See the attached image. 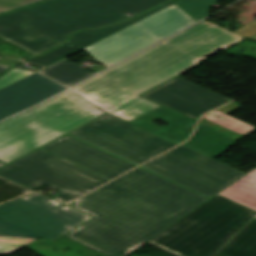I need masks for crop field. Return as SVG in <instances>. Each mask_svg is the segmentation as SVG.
Listing matches in <instances>:
<instances>
[{"mask_svg": "<svg viewBox=\"0 0 256 256\" xmlns=\"http://www.w3.org/2000/svg\"><path fill=\"white\" fill-rule=\"evenodd\" d=\"M216 253L222 256H256V216L249 220Z\"/></svg>", "mask_w": 256, "mask_h": 256, "instance_id": "crop-field-17", "label": "crop field"}, {"mask_svg": "<svg viewBox=\"0 0 256 256\" xmlns=\"http://www.w3.org/2000/svg\"><path fill=\"white\" fill-rule=\"evenodd\" d=\"M4 164L0 162V167ZM33 190L0 176V203Z\"/></svg>", "mask_w": 256, "mask_h": 256, "instance_id": "crop-field-22", "label": "crop field"}, {"mask_svg": "<svg viewBox=\"0 0 256 256\" xmlns=\"http://www.w3.org/2000/svg\"><path fill=\"white\" fill-rule=\"evenodd\" d=\"M207 200L138 168L73 202L93 216L150 239Z\"/></svg>", "mask_w": 256, "mask_h": 256, "instance_id": "crop-field-2", "label": "crop field"}, {"mask_svg": "<svg viewBox=\"0 0 256 256\" xmlns=\"http://www.w3.org/2000/svg\"><path fill=\"white\" fill-rule=\"evenodd\" d=\"M122 1L128 3V4L132 5V6H135V5H137V4L141 3V2H144L146 0H122Z\"/></svg>", "mask_w": 256, "mask_h": 256, "instance_id": "crop-field-29", "label": "crop field"}, {"mask_svg": "<svg viewBox=\"0 0 256 256\" xmlns=\"http://www.w3.org/2000/svg\"><path fill=\"white\" fill-rule=\"evenodd\" d=\"M125 12L136 15L143 11L120 0H84L0 25V38L37 55L74 31L125 20Z\"/></svg>", "mask_w": 256, "mask_h": 256, "instance_id": "crop-field-3", "label": "crop field"}, {"mask_svg": "<svg viewBox=\"0 0 256 256\" xmlns=\"http://www.w3.org/2000/svg\"><path fill=\"white\" fill-rule=\"evenodd\" d=\"M240 107L233 101L202 116L193 139L183 145L212 158L216 157L256 129L255 126L228 115Z\"/></svg>", "mask_w": 256, "mask_h": 256, "instance_id": "crop-field-11", "label": "crop field"}, {"mask_svg": "<svg viewBox=\"0 0 256 256\" xmlns=\"http://www.w3.org/2000/svg\"><path fill=\"white\" fill-rule=\"evenodd\" d=\"M40 73L70 87L79 81L94 75L93 73L62 59L46 68Z\"/></svg>", "mask_w": 256, "mask_h": 256, "instance_id": "crop-field-18", "label": "crop field"}, {"mask_svg": "<svg viewBox=\"0 0 256 256\" xmlns=\"http://www.w3.org/2000/svg\"><path fill=\"white\" fill-rule=\"evenodd\" d=\"M0 63L13 66V65L19 63V61L7 59V58H0Z\"/></svg>", "mask_w": 256, "mask_h": 256, "instance_id": "crop-field-28", "label": "crop field"}, {"mask_svg": "<svg viewBox=\"0 0 256 256\" xmlns=\"http://www.w3.org/2000/svg\"><path fill=\"white\" fill-rule=\"evenodd\" d=\"M0 175L31 189L43 184L63 193L54 197L69 202L109 180L41 149L0 170Z\"/></svg>", "mask_w": 256, "mask_h": 256, "instance_id": "crop-field-7", "label": "crop field"}, {"mask_svg": "<svg viewBox=\"0 0 256 256\" xmlns=\"http://www.w3.org/2000/svg\"><path fill=\"white\" fill-rule=\"evenodd\" d=\"M165 1H167V0H148V1H146V2H144L142 4H139V5L135 6V7L139 8V9H141L143 11H146V10H148V9H150V8L156 6V5H159V4H161V3L165 2Z\"/></svg>", "mask_w": 256, "mask_h": 256, "instance_id": "crop-field-27", "label": "crop field"}, {"mask_svg": "<svg viewBox=\"0 0 256 256\" xmlns=\"http://www.w3.org/2000/svg\"><path fill=\"white\" fill-rule=\"evenodd\" d=\"M81 0H48L22 9L0 15V24L68 5Z\"/></svg>", "mask_w": 256, "mask_h": 256, "instance_id": "crop-field-19", "label": "crop field"}, {"mask_svg": "<svg viewBox=\"0 0 256 256\" xmlns=\"http://www.w3.org/2000/svg\"><path fill=\"white\" fill-rule=\"evenodd\" d=\"M243 38L204 21L71 90L108 114L178 144L197 122L138 95ZM154 119L169 125L157 126Z\"/></svg>", "mask_w": 256, "mask_h": 256, "instance_id": "crop-field-1", "label": "crop field"}, {"mask_svg": "<svg viewBox=\"0 0 256 256\" xmlns=\"http://www.w3.org/2000/svg\"><path fill=\"white\" fill-rule=\"evenodd\" d=\"M87 102L68 90L1 123L0 160L7 164L105 113Z\"/></svg>", "mask_w": 256, "mask_h": 256, "instance_id": "crop-field-4", "label": "crop field"}, {"mask_svg": "<svg viewBox=\"0 0 256 256\" xmlns=\"http://www.w3.org/2000/svg\"><path fill=\"white\" fill-rule=\"evenodd\" d=\"M69 134L137 165L176 145L108 114Z\"/></svg>", "mask_w": 256, "mask_h": 256, "instance_id": "crop-field-10", "label": "crop field"}, {"mask_svg": "<svg viewBox=\"0 0 256 256\" xmlns=\"http://www.w3.org/2000/svg\"><path fill=\"white\" fill-rule=\"evenodd\" d=\"M41 149L109 180L136 167L68 135Z\"/></svg>", "mask_w": 256, "mask_h": 256, "instance_id": "crop-field-13", "label": "crop field"}, {"mask_svg": "<svg viewBox=\"0 0 256 256\" xmlns=\"http://www.w3.org/2000/svg\"><path fill=\"white\" fill-rule=\"evenodd\" d=\"M8 68H10V66L0 64V73H2L4 70H6Z\"/></svg>", "mask_w": 256, "mask_h": 256, "instance_id": "crop-field-30", "label": "crop field"}, {"mask_svg": "<svg viewBox=\"0 0 256 256\" xmlns=\"http://www.w3.org/2000/svg\"><path fill=\"white\" fill-rule=\"evenodd\" d=\"M142 167L209 198L246 174L183 145Z\"/></svg>", "mask_w": 256, "mask_h": 256, "instance_id": "crop-field-8", "label": "crop field"}, {"mask_svg": "<svg viewBox=\"0 0 256 256\" xmlns=\"http://www.w3.org/2000/svg\"><path fill=\"white\" fill-rule=\"evenodd\" d=\"M39 193L0 205V254H11L42 236L54 242L92 217L69 206L53 207Z\"/></svg>", "mask_w": 256, "mask_h": 256, "instance_id": "crop-field-6", "label": "crop field"}, {"mask_svg": "<svg viewBox=\"0 0 256 256\" xmlns=\"http://www.w3.org/2000/svg\"><path fill=\"white\" fill-rule=\"evenodd\" d=\"M179 0H174L168 4H165L153 11H150L138 18H135L131 21H128L126 23H123V24H120V25H116V26H113V27H110V28H106V29H102V30H97V31H86V32H81V33H78L74 36H72V39L70 41L69 44L65 45V46H62L42 57H39V58H35V59H32L30 61H27L28 63H32V64H35V65H39V66H48L62 58H65L71 54H73L74 52L134 23V22H137L175 2H177Z\"/></svg>", "mask_w": 256, "mask_h": 256, "instance_id": "crop-field-16", "label": "crop field"}, {"mask_svg": "<svg viewBox=\"0 0 256 256\" xmlns=\"http://www.w3.org/2000/svg\"><path fill=\"white\" fill-rule=\"evenodd\" d=\"M65 87L35 73L0 90V120L18 113Z\"/></svg>", "mask_w": 256, "mask_h": 256, "instance_id": "crop-field-15", "label": "crop field"}, {"mask_svg": "<svg viewBox=\"0 0 256 256\" xmlns=\"http://www.w3.org/2000/svg\"><path fill=\"white\" fill-rule=\"evenodd\" d=\"M233 32L248 38V37L256 34V21H254V22H252V23H250V24H248V25H246L242 28H239V29H237Z\"/></svg>", "mask_w": 256, "mask_h": 256, "instance_id": "crop-field-26", "label": "crop field"}, {"mask_svg": "<svg viewBox=\"0 0 256 256\" xmlns=\"http://www.w3.org/2000/svg\"><path fill=\"white\" fill-rule=\"evenodd\" d=\"M42 0H0V13Z\"/></svg>", "mask_w": 256, "mask_h": 256, "instance_id": "crop-field-24", "label": "crop field"}, {"mask_svg": "<svg viewBox=\"0 0 256 256\" xmlns=\"http://www.w3.org/2000/svg\"><path fill=\"white\" fill-rule=\"evenodd\" d=\"M233 185L256 192V169L235 182Z\"/></svg>", "mask_w": 256, "mask_h": 256, "instance_id": "crop-field-25", "label": "crop field"}, {"mask_svg": "<svg viewBox=\"0 0 256 256\" xmlns=\"http://www.w3.org/2000/svg\"><path fill=\"white\" fill-rule=\"evenodd\" d=\"M193 23L195 21L174 4L85 50L109 67Z\"/></svg>", "mask_w": 256, "mask_h": 256, "instance_id": "crop-field-9", "label": "crop field"}, {"mask_svg": "<svg viewBox=\"0 0 256 256\" xmlns=\"http://www.w3.org/2000/svg\"><path fill=\"white\" fill-rule=\"evenodd\" d=\"M256 212L217 196L148 243L179 256H212Z\"/></svg>", "mask_w": 256, "mask_h": 256, "instance_id": "crop-field-5", "label": "crop field"}, {"mask_svg": "<svg viewBox=\"0 0 256 256\" xmlns=\"http://www.w3.org/2000/svg\"><path fill=\"white\" fill-rule=\"evenodd\" d=\"M64 236L109 256H124L148 241L97 217Z\"/></svg>", "mask_w": 256, "mask_h": 256, "instance_id": "crop-field-14", "label": "crop field"}, {"mask_svg": "<svg viewBox=\"0 0 256 256\" xmlns=\"http://www.w3.org/2000/svg\"><path fill=\"white\" fill-rule=\"evenodd\" d=\"M218 194L256 210L255 192L247 191L231 185Z\"/></svg>", "mask_w": 256, "mask_h": 256, "instance_id": "crop-field-21", "label": "crop field"}, {"mask_svg": "<svg viewBox=\"0 0 256 256\" xmlns=\"http://www.w3.org/2000/svg\"><path fill=\"white\" fill-rule=\"evenodd\" d=\"M218 0H182L176 3L196 22L206 17V11Z\"/></svg>", "mask_w": 256, "mask_h": 256, "instance_id": "crop-field-20", "label": "crop field"}, {"mask_svg": "<svg viewBox=\"0 0 256 256\" xmlns=\"http://www.w3.org/2000/svg\"><path fill=\"white\" fill-rule=\"evenodd\" d=\"M142 96L196 120L203 113L230 101L179 77Z\"/></svg>", "mask_w": 256, "mask_h": 256, "instance_id": "crop-field-12", "label": "crop field"}, {"mask_svg": "<svg viewBox=\"0 0 256 256\" xmlns=\"http://www.w3.org/2000/svg\"><path fill=\"white\" fill-rule=\"evenodd\" d=\"M33 73L35 72L14 68L0 77V89Z\"/></svg>", "mask_w": 256, "mask_h": 256, "instance_id": "crop-field-23", "label": "crop field"}]
</instances>
